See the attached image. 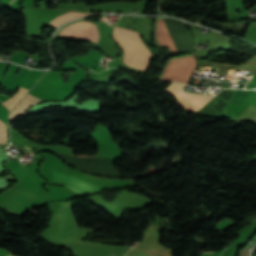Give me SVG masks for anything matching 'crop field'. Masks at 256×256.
Returning <instances> with one entry per match:
<instances>
[{"instance_id":"34b2d1b8","label":"crop field","mask_w":256,"mask_h":256,"mask_svg":"<svg viewBox=\"0 0 256 256\" xmlns=\"http://www.w3.org/2000/svg\"><path fill=\"white\" fill-rule=\"evenodd\" d=\"M186 87L187 86L181 85L179 83H172L164 91L174 96L177 102L183 108L191 105L194 111L214 97V96L194 95V94L184 93L183 91L185 90Z\"/></svg>"},{"instance_id":"ac0d7876","label":"crop field","mask_w":256,"mask_h":256,"mask_svg":"<svg viewBox=\"0 0 256 256\" xmlns=\"http://www.w3.org/2000/svg\"><path fill=\"white\" fill-rule=\"evenodd\" d=\"M195 67L194 57L173 60L166 67L161 81H178L186 84Z\"/></svg>"},{"instance_id":"3316defc","label":"crop field","mask_w":256,"mask_h":256,"mask_svg":"<svg viewBox=\"0 0 256 256\" xmlns=\"http://www.w3.org/2000/svg\"><path fill=\"white\" fill-rule=\"evenodd\" d=\"M6 142V124L0 121V143L4 145Z\"/></svg>"},{"instance_id":"dd49c442","label":"crop field","mask_w":256,"mask_h":256,"mask_svg":"<svg viewBox=\"0 0 256 256\" xmlns=\"http://www.w3.org/2000/svg\"><path fill=\"white\" fill-rule=\"evenodd\" d=\"M156 37L161 43L166 44L175 50V46L172 40V36L166 18H157Z\"/></svg>"},{"instance_id":"d1516ede","label":"crop field","mask_w":256,"mask_h":256,"mask_svg":"<svg viewBox=\"0 0 256 256\" xmlns=\"http://www.w3.org/2000/svg\"><path fill=\"white\" fill-rule=\"evenodd\" d=\"M13 1H14V0H12V1L10 2V4H12ZM15 1H16V0H15ZM15 1H14V2H15ZM14 2H13V4H14Z\"/></svg>"},{"instance_id":"8a807250","label":"crop field","mask_w":256,"mask_h":256,"mask_svg":"<svg viewBox=\"0 0 256 256\" xmlns=\"http://www.w3.org/2000/svg\"><path fill=\"white\" fill-rule=\"evenodd\" d=\"M139 37L138 32L114 28L113 38L125 53L126 65L146 72L152 52Z\"/></svg>"},{"instance_id":"5a996713","label":"crop field","mask_w":256,"mask_h":256,"mask_svg":"<svg viewBox=\"0 0 256 256\" xmlns=\"http://www.w3.org/2000/svg\"><path fill=\"white\" fill-rule=\"evenodd\" d=\"M28 91V89L19 88L18 92L12 96L9 100L2 102L4 105H6L9 109V111L12 109V107L19 101V99Z\"/></svg>"},{"instance_id":"22f410ed","label":"crop field","mask_w":256,"mask_h":256,"mask_svg":"<svg viewBox=\"0 0 256 256\" xmlns=\"http://www.w3.org/2000/svg\"><path fill=\"white\" fill-rule=\"evenodd\" d=\"M8 256H11V255H8Z\"/></svg>"},{"instance_id":"412701ff","label":"crop field","mask_w":256,"mask_h":256,"mask_svg":"<svg viewBox=\"0 0 256 256\" xmlns=\"http://www.w3.org/2000/svg\"><path fill=\"white\" fill-rule=\"evenodd\" d=\"M52 173H53L54 182L63 184L65 186L75 190L80 195L86 194L89 192H93L100 188V187L92 185L90 183H87V182L78 180L76 178L67 176L65 174H62L58 171L52 170Z\"/></svg>"},{"instance_id":"28ad6ade","label":"crop field","mask_w":256,"mask_h":256,"mask_svg":"<svg viewBox=\"0 0 256 256\" xmlns=\"http://www.w3.org/2000/svg\"><path fill=\"white\" fill-rule=\"evenodd\" d=\"M127 254L130 256H149L147 253L137 250L135 248L131 249L129 252H127Z\"/></svg>"},{"instance_id":"d8731c3e","label":"crop field","mask_w":256,"mask_h":256,"mask_svg":"<svg viewBox=\"0 0 256 256\" xmlns=\"http://www.w3.org/2000/svg\"><path fill=\"white\" fill-rule=\"evenodd\" d=\"M85 15H89V14H82V13H77V12H68V13L60 15V16L56 17L55 19H53L49 23V25L57 28L62 23L66 22V21H68L70 19L81 17V16H85Z\"/></svg>"},{"instance_id":"f4fd0767","label":"crop field","mask_w":256,"mask_h":256,"mask_svg":"<svg viewBox=\"0 0 256 256\" xmlns=\"http://www.w3.org/2000/svg\"><path fill=\"white\" fill-rule=\"evenodd\" d=\"M95 31L96 24L80 21L69 25L61 33L95 39Z\"/></svg>"},{"instance_id":"e52e79f7","label":"crop field","mask_w":256,"mask_h":256,"mask_svg":"<svg viewBox=\"0 0 256 256\" xmlns=\"http://www.w3.org/2000/svg\"><path fill=\"white\" fill-rule=\"evenodd\" d=\"M41 100L27 94L22 100L21 102L14 108V110L11 112L10 116H9V120H13L14 118H16L18 115H20L21 113H23L25 111V109L35 103H39Z\"/></svg>"}]
</instances>
